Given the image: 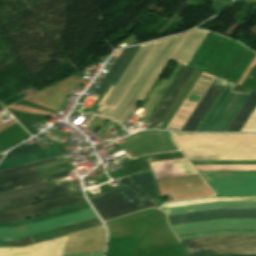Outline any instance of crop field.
<instances>
[{
	"instance_id": "obj_23",
	"label": "crop field",
	"mask_w": 256,
	"mask_h": 256,
	"mask_svg": "<svg viewBox=\"0 0 256 256\" xmlns=\"http://www.w3.org/2000/svg\"><path fill=\"white\" fill-rule=\"evenodd\" d=\"M36 169L42 176H44V175L68 170V167L65 164L64 160H62V161L54 162V163L47 164L44 166L36 167Z\"/></svg>"
},
{
	"instance_id": "obj_25",
	"label": "crop field",
	"mask_w": 256,
	"mask_h": 256,
	"mask_svg": "<svg viewBox=\"0 0 256 256\" xmlns=\"http://www.w3.org/2000/svg\"><path fill=\"white\" fill-rule=\"evenodd\" d=\"M192 72H193V69L189 68V70L187 71V73L185 74V76L183 77V79L181 80L179 85L177 86L176 92L174 93V95L172 96V98L170 99V101L168 102V104L166 105V107L164 108V110L162 111V113L160 114V116L158 117V119L156 120L154 125L152 126V128H154V126L156 125L157 122H160V120L162 119V117L164 116V114L166 113V111L168 110V108L170 107V105L172 104V102L174 101L177 94L179 93V91L181 90V88L183 87V85L185 84V82L187 81V79L189 78V76L191 75Z\"/></svg>"
},
{
	"instance_id": "obj_16",
	"label": "crop field",
	"mask_w": 256,
	"mask_h": 256,
	"mask_svg": "<svg viewBox=\"0 0 256 256\" xmlns=\"http://www.w3.org/2000/svg\"><path fill=\"white\" fill-rule=\"evenodd\" d=\"M55 155H59V152H58L56 146L47 148V149L42 150V151L30 153V154H27V155L19 156V157L8 159V160H4L0 164V170L5 169V168H9V167H12V166H16V165H20V164H24V163H28V162H32V161H36V160H40V159H44V158L55 156Z\"/></svg>"
},
{
	"instance_id": "obj_24",
	"label": "crop field",
	"mask_w": 256,
	"mask_h": 256,
	"mask_svg": "<svg viewBox=\"0 0 256 256\" xmlns=\"http://www.w3.org/2000/svg\"><path fill=\"white\" fill-rule=\"evenodd\" d=\"M42 148L39 147L36 143L31 144L29 146L24 147L22 144L19 145L18 147L10 150V152L7 154V156L4 159H8L14 156H18L24 153L36 151V150H41Z\"/></svg>"
},
{
	"instance_id": "obj_21",
	"label": "crop field",
	"mask_w": 256,
	"mask_h": 256,
	"mask_svg": "<svg viewBox=\"0 0 256 256\" xmlns=\"http://www.w3.org/2000/svg\"><path fill=\"white\" fill-rule=\"evenodd\" d=\"M231 90H232V87L226 86V88L224 89L219 99L217 100V102L215 103V105L213 106V108L205 118L204 122L202 123L198 131H205V129L207 128L212 118L214 117V115L216 114V112L218 111V109L220 108V106L222 105V103L224 102L225 98L227 97V95Z\"/></svg>"
},
{
	"instance_id": "obj_6",
	"label": "crop field",
	"mask_w": 256,
	"mask_h": 256,
	"mask_svg": "<svg viewBox=\"0 0 256 256\" xmlns=\"http://www.w3.org/2000/svg\"><path fill=\"white\" fill-rule=\"evenodd\" d=\"M176 236L217 230H256V219H217L171 226Z\"/></svg>"
},
{
	"instance_id": "obj_17",
	"label": "crop field",
	"mask_w": 256,
	"mask_h": 256,
	"mask_svg": "<svg viewBox=\"0 0 256 256\" xmlns=\"http://www.w3.org/2000/svg\"><path fill=\"white\" fill-rule=\"evenodd\" d=\"M86 208H90L88 203L78 205V206H75V207H71V208H68V209L60 210V211H57V212H53V213H50V214L42 215V216L35 217V218H32V219L24 220V221L17 222V223H0V227H19V226L35 223V222H38V221L46 220V219H49V218L57 217V216H60V215L68 214V213H71V212L79 211V210L86 209Z\"/></svg>"
},
{
	"instance_id": "obj_10",
	"label": "crop field",
	"mask_w": 256,
	"mask_h": 256,
	"mask_svg": "<svg viewBox=\"0 0 256 256\" xmlns=\"http://www.w3.org/2000/svg\"><path fill=\"white\" fill-rule=\"evenodd\" d=\"M247 96L230 93L206 131H226Z\"/></svg>"
},
{
	"instance_id": "obj_19",
	"label": "crop field",
	"mask_w": 256,
	"mask_h": 256,
	"mask_svg": "<svg viewBox=\"0 0 256 256\" xmlns=\"http://www.w3.org/2000/svg\"><path fill=\"white\" fill-rule=\"evenodd\" d=\"M71 189L77 190V189H80V188H79V186L71 187V183L69 181V182L64 183L62 185L54 187L49 192L41 194L38 197V199H36V200L30 201V202L21 203V204L12 206V207H0V209H14V208L26 206V205H29V204H32V203H35V202H38V201H42V200H45V199H49V198H53V197H57V196H62V195H67L69 193L66 192V191L71 190Z\"/></svg>"
},
{
	"instance_id": "obj_11",
	"label": "crop field",
	"mask_w": 256,
	"mask_h": 256,
	"mask_svg": "<svg viewBox=\"0 0 256 256\" xmlns=\"http://www.w3.org/2000/svg\"><path fill=\"white\" fill-rule=\"evenodd\" d=\"M226 80L220 79L215 77L213 82L211 83L210 87L200 100L199 104L187 120L186 124L182 128V130L188 131H195L211 105L213 104L214 100L218 96L219 92L223 88Z\"/></svg>"
},
{
	"instance_id": "obj_5",
	"label": "crop field",
	"mask_w": 256,
	"mask_h": 256,
	"mask_svg": "<svg viewBox=\"0 0 256 256\" xmlns=\"http://www.w3.org/2000/svg\"><path fill=\"white\" fill-rule=\"evenodd\" d=\"M58 157H51L16 168L0 172V191H8L40 182L45 180L33 168L35 166L58 161ZM62 160V159H61Z\"/></svg>"
},
{
	"instance_id": "obj_15",
	"label": "crop field",
	"mask_w": 256,
	"mask_h": 256,
	"mask_svg": "<svg viewBox=\"0 0 256 256\" xmlns=\"http://www.w3.org/2000/svg\"><path fill=\"white\" fill-rule=\"evenodd\" d=\"M139 47L140 45L124 49V51L119 56L116 63L114 64V66L112 67L108 75L106 76L103 83L94 93L100 96L101 93L106 89V87L109 85L111 81L117 82V80L119 79V77L121 76V74L123 73V71L125 70L128 63L130 62V60L132 59V57L134 56V54L136 53Z\"/></svg>"
},
{
	"instance_id": "obj_2",
	"label": "crop field",
	"mask_w": 256,
	"mask_h": 256,
	"mask_svg": "<svg viewBox=\"0 0 256 256\" xmlns=\"http://www.w3.org/2000/svg\"><path fill=\"white\" fill-rule=\"evenodd\" d=\"M128 177L132 179V181L138 187L143 196H140L141 193L130 178L124 181H120ZM118 180L123 186L130 188L137 196H140L137 197L128 188H121L135 205L149 200V193L156 191L154 182L155 180L149 168L124 177H120L118 178ZM121 189L101 194L99 198L90 201L103 219V221L136 210L155 206L157 204L158 198L156 192L150 194L151 200L135 206Z\"/></svg>"
},
{
	"instance_id": "obj_29",
	"label": "crop field",
	"mask_w": 256,
	"mask_h": 256,
	"mask_svg": "<svg viewBox=\"0 0 256 256\" xmlns=\"http://www.w3.org/2000/svg\"><path fill=\"white\" fill-rule=\"evenodd\" d=\"M85 201H86V200H84V201H80V202H76V203H72V204L65 205V206H61V207H57V208H54V209L46 210V211H43V212H39V213H35V214H31V215H28V216H24V217L16 218V219H0V222H15V220H17V219H21V218L29 217V216H32V215H36V214H40V213H44V212H47V211L55 210V209H58V208H62V207H66V206H70V205L77 204V203H81V202H85Z\"/></svg>"
},
{
	"instance_id": "obj_20",
	"label": "crop field",
	"mask_w": 256,
	"mask_h": 256,
	"mask_svg": "<svg viewBox=\"0 0 256 256\" xmlns=\"http://www.w3.org/2000/svg\"><path fill=\"white\" fill-rule=\"evenodd\" d=\"M213 201H256V197H213V198H206V199L169 203V204H165L161 208L180 206V205H188V204L205 203V202H213Z\"/></svg>"
},
{
	"instance_id": "obj_4",
	"label": "crop field",
	"mask_w": 256,
	"mask_h": 256,
	"mask_svg": "<svg viewBox=\"0 0 256 256\" xmlns=\"http://www.w3.org/2000/svg\"><path fill=\"white\" fill-rule=\"evenodd\" d=\"M217 195H256V172H202Z\"/></svg>"
},
{
	"instance_id": "obj_7",
	"label": "crop field",
	"mask_w": 256,
	"mask_h": 256,
	"mask_svg": "<svg viewBox=\"0 0 256 256\" xmlns=\"http://www.w3.org/2000/svg\"><path fill=\"white\" fill-rule=\"evenodd\" d=\"M91 218H95V215L89 209L19 228H0V238L22 237Z\"/></svg>"
},
{
	"instance_id": "obj_13",
	"label": "crop field",
	"mask_w": 256,
	"mask_h": 256,
	"mask_svg": "<svg viewBox=\"0 0 256 256\" xmlns=\"http://www.w3.org/2000/svg\"><path fill=\"white\" fill-rule=\"evenodd\" d=\"M84 199L85 198H79L71 195V196L55 199L52 201L32 205L29 207H25V208L13 210V211H0V218H16V217L28 215L31 213L43 211L46 209L54 208L57 206L69 204V203L84 200Z\"/></svg>"
},
{
	"instance_id": "obj_31",
	"label": "crop field",
	"mask_w": 256,
	"mask_h": 256,
	"mask_svg": "<svg viewBox=\"0 0 256 256\" xmlns=\"http://www.w3.org/2000/svg\"><path fill=\"white\" fill-rule=\"evenodd\" d=\"M102 251L98 252H88V253H78V254H68L64 256H101Z\"/></svg>"
},
{
	"instance_id": "obj_12",
	"label": "crop field",
	"mask_w": 256,
	"mask_h": 256,
	"mask_svg": "<svg viewBox=\"0 0 256 256\" xmlns=\"http://www.w3.org/2000/svg\"><path fill=\"white\" fill-rule=\"evenodd\" d=\"M47 189H50V187L44 182L8 192H0V205H12L33 199L37 197L41 191Z\"/></svg>"
},
{
	"instance_id": "obj_26",
	"label": "crop field",
	"mask_w": 256,
	"mask_h": 256,
	"mask_svg": "<svg viewBox=\"0 0 256 256\" xmlns=\"http://www.w3.org/2000/svg\"><path fill=\"white\" fill-rule=\"evenodd\" d=\"M181 67H182V65H178V67L174 71L173 75L171 76V78L169 79V81L167 82L165 87L163 88L162 92L160 93V95L158 96V98L156 99V101L154 102L152 107L150 108L149 112L145 116V118H144L145 120H147V118L149 117V115L151 114V112L153 111V109L155 108V106L157 105V103L159 102V100L161 99V97L163 96V94L167 90L168 86L170 85L171 81L173 80V78L175 77L176 73L180 70Z\"/></svg>"
},
{
	"instance_id": "obj_35",
	"label": "crop field",
	"mask_w": 256,
	"mask_h": 256,
	"mask_svg": "<svg viewBox=\"0 0 256 256\" xmlns=\"http://www.w3.org/2000/svg\"><path fill=\"white\" fill-rule=\"evenodd\" d=\"M2 155H0V157H1Z\"/></svg>"
},
{
	"instance_id": "obj_8",
	"label": "crop field",
	"mask_w": 256,
	"mask_h": 256,
	"mask_svg": "<svg viewBox=\"0 0 256 256\" xmlns=\"http://www.w3.org/2000/svg\"><path fill=\"white\" fill-rule=\"evenodd\" d=\"M167 217L170 225L217 218H256V209H216Z\"/></svg>"
},
{
	"instance_id": "obj_18",
	"label": "crop field",
	"mask_w": 256,
	"mask_h": 256,
	"mask_svg": "<svg viewBox=\"0 0 256 256\" xmlns=\"http://www.w3.org/2000/svg\"><path fill=\"white\" fill-rule=\"evenodd\" d=\"M256 105V91L253 90L227 131H239L245 120L247 119L250 112Z\"/></svg>"
},
{
	"instance_id": "obj_9",
	"label": "crop field",
	"mask_w": 256,
	"mask_h": 256,
	"mask_svg": "<svg viewBox=\"0 0 256 256\" xmlns=\"http://www.w3.org/2000/svg\"><path fill=\"white\" fill-rule=\"evenodd\" d=\"M155 43L156 41L141 45L136 55L134 56V58L124 71L123 75L111 91L106 101L104 102L105 105L113 108V106L115 105V103L117 102V100L129 84L134 74L136 73V71L138 70V68L140 67V65L142 64V62L144 61V59L146 58V56L148 55V53L150 52Z\"/></svg>"
},
{
	"instance_id": "obj_32",
	"label": "crop field",
	"mask_w": 256,
	"mask_h": 256,
	"mask_svg": "<svg viewBox=\"0 0 256 256\" xmlns=\"http://www.w3.org/2000/svg\"><path fill=\"white\" fill-rule=\"evenodd\" d=\"M111 110V108H109V107H107V106H105V105H103L100 109H99V111H101V114H102V116H104L107 112H109Z\"/></svg>"
},
{
	"instance_id": "obj_28",
	"label": "crop field",
	"mask_w": 256,
	"mask_h": 256,
	"mask_svg": "<svg viewBox=\"0 0 256 256\" xmlns=\"http://www.w3.org/2000/svg\"><path fill=\"white\" fill-rule=\"evenodd\" d=\"M242 131H256V108L243 127Z\"/></svg>"
},
{
	"instance_id": "obj_33",
	"label": "crop field",
	"mask_w": 256,
	"mask_h": 256,
	"mask_svg": "<svg viewBox=\"0 0 256 256\" xmlns=\"http://www.w3.org/2000/svg\"><path fill=\"white\" fill-rule=\"evenodd\" d=\"M40 135H42L43 137H45L46 139H48L50 142H52V143L55 144V145L60 144V143L54 141L53 139H51L50 137H48V136H46V135H44V134H42V133H41Z\"/></svg>"
},
{
	"instance_id": "obj_14",
	"label": "crop field",
	"mask_w": 256,
	"mask_h": 256,
	"mask_svg": "<svg viewBox=\"0 0 256 256\" xmlns=\"http://www.w3.org/2000/svg\"><path fill=\"white\" fill-rule=\"evenodd\" d=\"M216 208H256V202H213L162 209L166 215Z\"/></svg>"
},
{
	"instance_id": "obj_34",
	"label": "crop field",
	"mask_w": 256,
	"mask_h": 256,
	"mask_svg": "<svg viewBox=\"0 0 256 256\" xmlns=\"http://www.w3.org/2000/svg\"><path fill=\"white\" fill-rule=\"evenodd\" d=\"M7 240L6 239H0V245H9Z\"/></svg>"
},
{
	"instance_id": "obj_1",
	"label": "crop field",
	"mask_w": 256,
	"mask_h": 256,
	"mask_svg": "<svg viewBox=\"0 0 256 256\" xmlns=\"http://www.w3.org/2000/svg\"><path fill=\"white\" fill-rule=\"evenodd\" d=\"M207 31L193 29L185 34L157 41L136 75L114 106L105 115L123 123L136 109L134 104L144 100L170 58L186 64Z\"/></svg>"
},
{
	"instance_id": "obj_3",
	"label": "crop field",
	"mask_w": 256,
	"mask_h": 256,
	"mask_svg": "<svg viewBox=\"0 0 256 256\" xmlns=\"http://www.w3.org/2000/svg\"><path fill=\"white\" fill-rule=\"evenodd\" d=\"M217 234H256V232H217L190 236H181L178 239L217 235ZM186 256H256V252H214V251H256V235H217L209 237L179 240Z\"/></svg>"
},
{
	"instance_id": "obj_30",
	"label": "crop field",
	"mask_w": 256,
	"mask_h": 256,
	"mask_svg": "<svg viewBox=\"0 0 256 256\" xmlns=\"http://www.w3.org/2000/svg\"><path fill=\"white\" fill-rule=\"evenodd\" d=\"M69 174H70V170L60 172V173H56V174H52V175H48V176H45V178L48 179L49 181H51V180H54V179H57V178L67 176Z\"/></svg>"
},
{
	"instance_id": "obj_27",
	"label": "crop field",
	"mask_w": 256,
	"mask_h": 256,
	"mask_svg": "<svg viewBox=\"0 0 256 256\" xmlns=\"http://www.w3.org/2000/svg\"><path fill=\"white\" fill-rule=\"evenodd\" d=\"M193 164H256V161H191Z\"/></svg>"
},
{
	"instance_id": "obj_22",
	"label": "crop field",
	"mask_w": 256,
	"mask_h": 256,
	"mask_svg": "<svg viewBox=\"0 0 256 256\" xmlns=\"http://www.w3.org/2000/svg\"><path fill=\"white\" fill-rule=\"evenodd\" d=\"M187 70H188V67L184 66V68L182 69V71L180 72V74L178 75V77L176 78V80L174 81V83L172 84L170 89L168 90L167 94L165 95V97L163 98V100L161 101V103L159 104V106L157 107V109L155 110V112L153 113L151 118L149 119L150 123L148 125V128L153 123V121L155 120V118L157 117V115L163 108L164 104L166 103V101L168 100V98L170 97V95L172 94V92L174 91V89L176 88V86L178 85V83L180 82V80L182 79V77L184 76V74L186 73Z\"/></svg>"
}]
</instances>
